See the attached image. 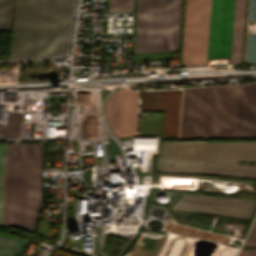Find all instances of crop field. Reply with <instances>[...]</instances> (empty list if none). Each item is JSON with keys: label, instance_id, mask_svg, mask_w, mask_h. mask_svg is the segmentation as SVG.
<instances>
[{"label": "crop field", "instance_id": "obj_1", "mask_svg": "<svg viewBox=\"0 0 256 256\" xmlns=\"http://www.w3.org/2000/svg\"><path fill=\"white\" fill-rule=\"evenodd\" d=\"M6 144H0V224ZM42 143L7 144L3 224L35 231L41 205Z\"/></svg>", "mask_w": 256, "mask_h": 256}, {"label": "crop field", "instance_id": "obj_2", "mask_svg": "<svg viewBox=\"0 0 256 256\" xmlns=\"http://www.w3.org/2000/svg\"><path fill=\"white\" fill-rule=\"evenodd\" d=\"M235 0H187L182 65L230 63Z\"/></svg>", "mask_w": 256, "mask_h": 256}, {"label": "crop field", "instance_id": "obj_3", "mask_svg": "<svg viewBox=\"0 0 256 256\" xmlns=\"http://www.w3.org/2000/svg\"><path fill=\"white\" fill-rule=\"evenodd\" d=\"M70 0H17L11 56L64 47Z\"/></svg>", "mask_w": 256, "mask_h": 256}, {"label": "crop field", "instance_id": "obj_4", "mask_svg": "<svg viewBox=\"0 0 256 256\" xmlns=\"http://www.w3.org/2000/svg\"><path fill=\"white\" fill-rule=\"evenodd\" d=\"M238 85L184 88L180 137H235Z\"/></svg>", "mask_w": 256, "mask_h": 256}, {"label": "crop field", "instance_id": "obj_5", "mask_svg": "<svg viewBox=\"0 0 256 256\" xmlns=\"http://www.w3.org/2000/svg\"><path fill=\"white\" fill-rule=\"evenodd\" d=\"M181 0H138L134 52L177 50Z\"/></svg>", "mask_w": 256, "mask_h": 256}, {"label": "crop field", "instance_id": "obj_6", "mask_svg": "<svg viewBox=\"0 0 256 256\" xmlns=\"http://www.w3.org/2000/svg\"><path fill=\"white\" fill-rule=\"evenodd\" d=\"M180 90L142 92V111H165L164 136L176 137L178 131Z\"/></svg>", "mask_w": 256, "mask_h": 256}, {"label": "crop field", "instance_id": "obj_7", "mask_svg": "<svg viewBox=\"0 0 256 256\" xmlns=\"http://www.w3.org/2000/svg\"><path fill=\"white\" fill-rule=\"evenodd\" d=\"M236 137H256V82L239 85Z\"/></svg>", "mask_w": 256, "mask_h": 256}, {"label": "crop field", "instance_id": "obj_8", "mask_svg": "<svg viewBox=\"0 0 256 256\" xmlns=\"http://www.w3.org/2000/svg\"><path fill=\"white\" fill-rule=\"evenodd\" d=\"M246 0H236L231 64L242 63Z\"/></svg>", "mask_w": 256, "mask_h": 256}, {"label": "crop field", "instance_id": "obj_9", "mask_svg": "<svg viewBox=\"0 0 256 256\" xmlns=\"http://www.w3.org/2000/svg\"><path fill=\"white\" fill-rule=\"evenodd\" d=\"M27 242L0 233V256H13L20 252Z\"/></svg>", "mask_w": 256, "mask_h": 256}, {"label": "crop field", "instance_id": "obj_10", "mask_svg": "<svg viewBox=\"0 0 256 256\" xmlns=\"http://www.w3.org/2000/svg\"><path fill=\"white\" fill-rule=\"evenodd\" d=\"M21 114L9 113L7 125H0V134L9 137H18Z\"/></svg>", "mask_w": 256, "mask_h": 256}, {"label": "crop field", "instance_id": "obj_11", "mask_svg": "<svg viewBox=\"0 0 256 256\" xmlns=\"http://www.w3.org/2000/svg\"><path fill=\"white\" fill-rule=\"evenodd\" d=\"M13 0H0V30L10 31Z\"/></svg>", "mask_w": 256, "mask_h": 256}, {"label": "crop field", "instance_id": "obj_12", "mask_svg": "<svg viewBox=\"0 0 256 256\" xmlns=\"http://www.w3.org/2000/svg\"><path fill=\"white\" fill-rule=\"evenodd\" d=\"M134 0H109L108 13L133 12Z\"/></svg>", "mask_w": 256, "mask_h": 256}, {"label": "crop field", "instance_id": "obj_13", "mask_svg": "<svg viewBox=\"0 0 256 256\" xmlns=\"http://www.w3.org/2000/svg\"><path fill=\"white\" fill-rule=\"evenodd\" d=\"M242 248H256V220Z\"/></svg>", "mask_w": 256, "mask_h": 256}, {"label": "crop field", "instance_id": "obj_14", "mask_svg": "<svg viewBox=\"0 0 256 256\" xmlns=\"http://www.w3.org/2000/svg\"><path fill=\"white\" fill-rule=\"evenodd\" d=\"M238 256H256V250H241Z\"/></svg>", "mask_w": 256, "mask_h": 256}]
</instances>
